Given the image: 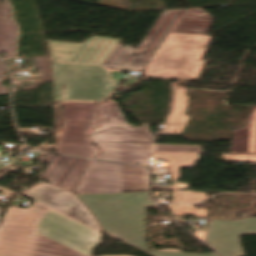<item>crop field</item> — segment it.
<instances>
[{
	"instance_id": "obj_12",
	"label": "crop field",
	"mask_w": 256,
	"mask_h": 256,
	"mask_svg": "<svg viewBox=\"0 0 256 256\" xmlns=\"http://www.w3.org/2000/svg\"><path fill=\"white\" fill-rule=\"evenodd\" d=\"M40 160L49 164L42 176L53 186L74 192L75 185L87 160L61 156L55 157L40 154Z\"/></svg>"
},
{
	"instance_id": "obj_10",
	"label": "crop field",
	"mask_w": 256,
	"mask_h": 256,
	"mask_svg": "<svg viewBox=\"0 0 256 256\" xmlns=\"http://www.w3.org/2000/svg\"><path fill=\"white\" fill-rule=\"evenodd\" d=\"M22 195L59 214L86 225L96 231H100L95 224L93 217L73 194L45 183L27 190Z\"/></svg>"
},
{
	"instance_id": "obj_6",
	"label": "crop field",
	"mask_w": 256,
	"mask_h": 256,
	"mask_svg": "<svg viewBox=\"0 0 256 256\" xmlns=\"http://www.w3.org/2000/svg\"><path fill=\"white\" fill-rule=\"evenodd\" d=\"M144 168L90 161L76 194L147 190Z\"/></svg>"
},
{
	"instance_id": "obj_15",
	"label": "crop field",
	"mask_w": 256,
	"mask_h": 256,
	"mask_svg": "<svg viewBox=\"0 0 256 256\" xmlns=\"http://www.w3.org/2000/svg\"><path fill=\"white\" fill-rule=\"evenodd\" d=\"M187 100L188 96H185V89H176L174 109L161 135H180L189 120L187 115H183L186 110Z\"/></svg>"
},
{
	"instance_id": "obj_18",
	"label": "crop field",
	"mask_w": 256,
	"mask_h": 256,
	"mask_svg": "<svg viewBox=\"0 0 256 256\" xmlns=\"http://www.w3.org/2000/svg\"><path fill=\"white\" fill-rule=\"evenodd\" d=\"M174 189H188L185 183H172Z\"/></svg>"
},
{
	"instance_id": "obj_8",
	"label": "crop field",
	"mask_w": 256,
	"mask_h": 256,
	"mask_svg": "<svg viewBox=\"0 0 256 256\" xmlns=\"http://www.w3.org/2000/svg\"><path fill=\"white\" fill-rule=\"evenodd\" d=\"M37 233L80 254L90 255L101 235L51 210L38 223Z\"/></svg>"
},
{
	"instance_id": "obj_16",
	"label": "crop field",
	"mask_w": 256,
	"mask_h": 256,
	"mask_svg": "<svg viewBox=\"0 0 256 256\" xmlns=\"http://www.w3.org/2000/svg\"><path fill=\"white\" fill-rule=\"evenodd\" d=\"M202 9H189L172 30L173 33L206 34L211 25L210 16ZM198 14H202L199 16ZM205 20L206 22H200Z\"/></svg>"
},
{
	"instance_id": "obj_3",
	"label": "crop field",
	"mask_w": 256,
	"mask_h": 256,
	"mask_svg": "<svg viewBox=\"0 0 256 256\" xmlns=\"http://www.w3.org/2000/svg\"><path fill=\"white\" fill-rule=\"evenodd\" d=\"M48 210L35 202L29 209L10 207L0 225V256H84L36 234Z\"/></svg>"
},
{
	"instance_id": "obj_13",
	"label": "crop field",
	"mask_w": 256,
	"mask_h": 256,
	"mask_svg": "<svg viewBox=\"0 0 256 256\" xmlns=\"http://www.w3.org/2000/svg\"><path fill=\"white\" fill-rule=\"evenodd\" d=\"M155 158L167 159L172 181L179 180L178 168H192L198 160L199 147L154 146Z\"/></svg>"
},
{
	"instance_id": "obj_1",
	"label": "crop field",
	"mask_w": 256,
	"mask_h": 256,
	"mask_svg": "<svg viewBox=\"0 0 256 256\" xmlns=\"http://www.w3.org/2000/svg\"><path fill=\"white\" fill-rule=\"evenodd\" d=\"M94 214L104 233L152 256H216L148 250L145 243L147 192L77 195Z\"/></svg>"
},
{
	"instance_id": "obj_11",
	"label": "crop field",
	"mask_w": 256,
	"mask_h": 256,
	"mask_svg": "<svg viewBox=\"0 0 256 256\" xmlns=\"http://www.w3.org/2000/svg\"><path fill=\"white\" fill-rule=\"evenodd\" d=\"M240 234H256V217L237 221L211 219L206 243L222 256H245Z\"/></svg>"
},
{
	"instance_id": "obj_2",
	"label": "crop field",
	"mask_w": 256,
	"mask_h": 256,
	"mask_svg": "<svg viewBox=\"0 0 256 256\" xmlns=\"http://www.w3.org/2000/svg\"><path fill=\"white\" fill-rule=\"evenodd\" d=\"M99 128L89 137L102 150L98 159L148 166L152 154L148 127H123L124 120L116 102L98 104Z\"/></svg>"
},
{
	"instance_id": "obj_9",
	"label": "crop field",
	"mask_w": 256,
	"mask_h": 256,
	"mask_svg": "<svg viewBox=\"0 0 256 256\" xmlns=\"http://www.w3.org/2000/svg\"><path fill=\"white\" fill-rule=\"evenodd\" d=\"M183 11L184 10L164 11L161 14L151 31L138 47L137 51L140 53L138 57H132L136 53V50L127 45L125 48L122 47L123 45H119L104 67L143 71V69H139L140 66L145 67L147 65L151 55L154 53L156 48L162 42ZM144 41L147 42L144 43Z\"/></svg>"
},
{
	"instance_id": "obj_14",
	"label": "crop field",
	"mask_w": 256,
	"mask_h": 256,
	"mask_svg": "<svg viewBox=\"0 0 256 256\" xmlns=\"http://www.w3.org/2000/svg\"><path fill=\"white\" fill-rule=\"evenodd\" d=\"M231 153L256 154V107L252 106L246 127L233 131Z\"/></svg>"
},
{
	"instance_id": "obj_5",
	"label": "crop field",
	"mask_w": 256,
	"mask_h": 256,
	"mask_svg": "<svg viewBox=\"0 0 256 256\" xmlns=\"http://www.w3.org/2000/svg\"><path fill=\"white\" fill-rule=\"evenodd\" d=\"M112 92L113 85L103 66L53 62L54 100L100 101Z\"/></svg>"
},
{
	"instance_id": "obj_7",
	"label": "crop field",
	"mask_w": 256,
	"mask_h": 256,
	"mask_svg": "<svg viewBox=\"0 0 256 256\" xmlns=\"http://www.w3.org/2000/svg\"><path fill=\"white\" fill-rule=\"evenodd\" d=\"M65 128L57 153L92 157L99 153L91 148L93 143L87 139L90 129L96 127L95 103H64Z\"/></svg>"
},
{
	"instance_id": "obj_19",
	"label": "crop field",
	"mask_w": 256,
	"mask_h": 256,
	"mask_svg": "<svg viewBox=\"0 0 256 256\" xmlns=\"http://www.w3.org/2000/svg\"><path fill=\"white\" fill-rule=\"evenodd\" d=\"M0 189H2V193H1L2 196H13V194H14V192L4 189L2 187H0Z\"/></svg>"
},
{
	"instance_id": "obj_17",
	"label": "crop field",
	"mask_w": 256,
	"mask_h": 256,
	"mask_svg": "<svg viewBox=\"0 0 256 256\" xmlns=\"http://www.w3.org/2000/svg\"><path fill=\"white\" fill-rule=\"evenodd\" d=\"M222 160L228 162H256V155H222Z\"/></svg>"
},
{
	"instance_id": "obj_4",
	"label": "crop field",
	"mask_w": 256,
	"mask_h": 256,
	"mask_svg": "<svg viewBox=\"0 0 256 256\" xmlns=\"http://www.w3.org/2000/svg\"><path fill=\"white\" fill-rule=\"evenodd\" d=\"M210 38L207 35L170 33L152 57L143 76L196 81Z\"/></svg>"
}]
</instances>
